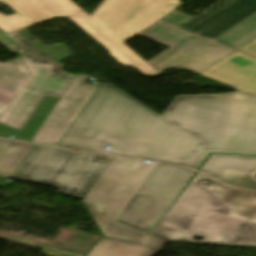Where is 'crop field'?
Wrapping results in <instances>:
<instances>
[{
	"instance_id": "8a807250",
	"label": "crop field",
	"mask_w": 256,
	"mask_h": 256,
	"mask_svg": "<svg viewBox=\"0 0 256 256\" xmlns=\"http://www.w3.org/2000/svg\"><path fill=\"white\" fill-rule=\"evenodd\" d=\"M202 142L117 89L102 84L61 146L181 163Z\"/></svg>"
},
{
	"instance_id": "ac0d7876",
	"label": "crop field",
	"mask_w": 256,
	"mask_h": 256,
	"mask_svg": "<svg viewBox=\"0 0 256 256\" xmlns=\"http://www.w3.org/2000/svg\"><path fill=\"white\" fill-rule=\"evenodd\" d=\"M200 180L209 179L197 172L150 235L167 242H232L256 213V192ZM193 234L205 238L191 240Z\"/></svg>"
},
{
	"instance_id": "34b2d1b8",
	"label": "crop field",
	"mask_w": 256,
	"mask_h": 256,
	"mask_svg": "<svg viewBox=\"0 0 256 256\" xmlns=\"http://www.w3.org/2000/svg\"><path fill=\"white\" fill-rule=\"evenodd\" d=\"M162 116L203 142L182 164L198 168L209 152L256 155V95L177 96Z\"/></svg>"
},
{
	"instance_id": "412701ff",
	"label": "crop field",
	"mask_w": 256,
	"mask_h": 256,
	"mask_svg": "<svg viewBox=\"0 0 256 256\" xmlns=\"http://www.w3.org/2000/svg\"><path fill=\"white\" fill-rule=\"evenodd\" d=\"M143 161L113 156L82 201L103 236L162 249L167 242L115 222L158 164Z\"/></svg>"
},
{
	"instance_id": "f4fd0767",
	"label": "crop field",
	"mask_w": 256,
	"mask_h": 256,
	"mask_svg": "<svg viewBox=\"0 0 256 256\" xmlns=\"http://www.w3.org/2000/svg\"><path fill=\"white\" fill-rule=\"evenodd\" d=\"M35 145L13 179L51 185L83 199L112 156Z\"/></svg>"
},
{
	"instance_id": "dd49c442",
	"label": "crop field",
	"mask_w": 256,
	"mask_h": 256,
	"mask_svg": "<svg viewBox=\"0 0 256 256\" xmlns=\"http://www.w3.org/2000/svg\"><path fill=\"white\" fill-rule=\"evenodd\" d=\"M16 14L0 13V29L7 35L53 18L68 17L104 46L110 55L124 65L136 67L144 75H160L144 60L97 23L71 0H0Z\"/></svg>"
},
{
	"instance_id": "e52e79f7",
	"label": "crop field",
	"mask_w": 256,
	"mask_h": 256,
	"mask_svg": "<svg viewBox=\"0 0 256 256\" xmlns=\"http://www.w3.org/2000/svg\"><path fill=\"white\" fill-rule=\"evenodd\" d=\"M195 171L159 162L117 222L148 234Z\"/></svg>"
},
{
	"instance_id": "d8731c3e",
	"label": "crop field",
	"mask_w": 256,
	"mask_h": 256,
	"mask_svg": "<svg viewBox=\"0 0 256 256\" xmlns=\"http://www.w3.org/2000/svg\"><path fill=\"white\" fill-rule=\"evenodd\" d=\"M139 34L170 46L147 62L159 73L169 66L199 73L234 51L159 20Z\"/></svg>"
},
{
	"instance_id": "5a996713",
	"label": "crop field",
	"mask_w": 256,
	"mask_h": 256,
	"mask_svg": "<svg viewBox=\"0 0 256 256\" xmlns=\"http://www.w3.org/2000/svg\"><path fill=\"white\" fill-rule=\"evenodd\" d=\"M31 73L30 78L0 117V122L22 128L43 95L61 97L76 75L62 71L63 63L24 52L18 54Z\"/></svg>"
},
{
	"instance_id": "3316defc",
	"label": "crop field",
	"mask_w": 256,
	"mask_h": 256,
	"mask_svg": "<svg viewBox=\"0 0 256 256\" xmlns=\"http://www.w3.org/2000/svg\"><path fill=\"white\" fill-rule=\"evenodd\" d=\"M179 5V0H103L90 16L123 42Z\"/></svg>"
},
{
	"instance_id": "28ad6ade",
	"label": "crop field",
	"mask_w": 256,
	"mask_h": 256,
	"mask_svg": "<svg viewBox=\"0 0 256 256\" xmlns=\"http://www.w3.org/2000/svg\"><path fill=\"white\" fill-rule=\"evenodd\" d=\"M256 12V0H221L195 17L172 11L160 20L213 39Z\"/></svg>"
},
{
	"instance_id": "d1516ede",
	"label": "crop field",
	"mask_w": 256,
	"mask_h": 256,
	"mask_svg": "<svg viewBox=\"0 0 256 256\" xmlns=\"http://www.w3.org/2000/svg\"><path fill=\"white\" fill-rule=\"evenodd\" d=\"M88 76L77 75L32 141L56 145L89 100L97 86L85 84Z\"/></svg>"
},
{
	"instance_id": "22f410ed",
	"label": "crop field",
	"mask_w": 256,
	"mask_h": 256,
	"mask_svg": "<svg viewBox=\"0 0 256 256\" xmlns=\"http://www.w3.org/2000/svg\"><path fill=\"white\" fill-rule=\"evenodd\" d=\"M199 171L228 185L256 190V157L211 154Z\"/></svg>"
},
{
	"instance_id": "cbeb9de0",
	"label": "crop field",
	"mask_w": 256,
	"mask_h": 256,
	"mask_svg": "<svg viewBox=\"0 0 256 256\" xmlns=\"http://www.w3.org/2000/svg\"><path fill=\"white\" fill-rule=\"evenodd\" d=\"M200 74L232 86L237 91L256 94V59L237 51Z\"/></svg>"
},
{
	"instance_id": "5142ce71",
	"label": "crop field",
	"mask_w": 256,
	"mask_h": 256,
	"mask_svg": "<svg viewBox=\"0 0 256 256\" xmlns=\"http://www.w3.org/2000/svg\"><path fill=\"white\" fill-rule=\"evenodd\" d=\"M29 76L20 58L0 62V116Z\"/></svg>"
},
{
	"instance_id": "d9b57169",
	"label": "crop field",
	"mask_w": 256,
	"mask_h": 256,
	"mask_svg": "<svg viewBox=\"0 0 256 256\" xmlns=\"http://www.w3.org/2000/svg\"><path fill=\"white\" fill-rule=\"evenodd\" d=\"M58 100L59 98L44 96L21 130L0 123V136H15V139L31 141Z\"/></svg>"
},
{
	"instance_id": "733c2abd",
	"label": "crop field",
	"mask_w": 256,
	"mask_h": 256,
	"mask_svg": "<svg viewBox=\"0 0 256 256\" xmlns=\"http://www.w3.org/2000/svg\"><path fill=\"white\" fill-rule=\"evenodd\" d=\"M159 249L102 237L88 256H153Z\"/></svg>"
},
{
	"instance_id": "4a817a6b",
	"label": "crop field",
	"mask_w": 256,
	"mask_h": 256,
	"mask_svg": "<svg viewBox=\"0 0 256 256\" xmlns=\"http://www.w3.org/2000/svg\"><path fill=\"white\" fill-rule=\"evenodd\" d=\"M256 38V13L222 33L213 41L235 50Z\"/></svg>"
},
{
	"instance_id": "bc2a9ffb",
	"label": "crop field",
	"mask_w": 256,
	"mask_h": 256,
	"mask_svg": "<svg viewBox=\"0 0 256 256\" xmlns=\"http://www.w3.org/2000/svg\"><path fill=\"white\" fill-rule=\"evenodd\" d=\"M32 147L31 144L12 141L0 158V176L9 177Z\"/></svg>"
},
{
	"instance_id": "214f88e0",
	"label": "crop field",
	"mask_w": 256,
	"mask_h": 256,
	"mask_svg": "<svg viewBox=\"0 0 256 256\" xmlns=\"http://www.w3.org/2000/svg\"><path fill=\"white\" fill-rule=\"evenodd\" d=\"M231 245L256 247V216Z\"/></svg>"
},
{
	"instance_id": "92a150f3",
	"label": "crop field",
	"mask_w": 256,
	"mask_h": 256,
	"mask_svg": "<svg viewBox=\"0 0 256 256\" xmlns=\"http://www.w3.org/2000/svg\"><path fill=\"white\" fill-rule=\"evenodd\" d=\"M0 43L9 49L13 54L18 49L16 43L11 41L2 31H0Z\"/></svg>"
},
{
	"instance_id": "dafd665d",
	"label": "crop field",
	"mask_w": 256,
	"mask_h": 256,
	"mask_svg": "<svg viewBox=\"0 0 256 256\" xmlns=\"http://www.w3.org/2000/svg\"><path fill=\"white\" fill-rule=\"evenodd\" d=\"M10 37H12L14 40H16L22 47V51L28 50L37 54H40V52H38L35 48H33L29 43H27L25 40H23L22 38H20L18 35H16L15 33L9 35Z\"/></svg>"
},
{
	"instance_id": "00972430",
	"label": "crop field",
	"mask_w": 256,
	"mask_h": 256,
	"mask_svg": "<svg viewBox=\"0 0 256 256\" xmlns=\"http://www.w3.org/2000/svg\"><path fill=\"white\" fill-rule=\"evenodd\" d=\"M238 51H241L243 53L256 57V39L250 42L249 44L245 45Z\"/></svg>"
},
{
	"instance_id": "a9b5d70f",
	"label": "crop field",
	"mask_w": 256,
	"mask_h": 256,
	"mask_svg": "<svg viewBox=\"0 0 256 256\" xmlns=\"http://www.w3.org/2000/svg\"><path fill=\"white\" fill-rule=\"evenodd\" d=\"M11 141L7 140H0V157L4 153V151L7 149Z\"/></svg>"
},
{
	"instance_id": "4177f3b9",
	"label": "crop field",
	"mask_w": 256,
	"mask_h": 256,
	"mask_svg": "<svg viewBox=\"0 0 256 256\" xmlns=\"http://www.w3.org/2000/svg\"><path fill=\"white\" fill-rule=\"evenodd\" d=\"M4 179H5V178L0 177V183H1Z\"/></svg>"
}]
</instances>
